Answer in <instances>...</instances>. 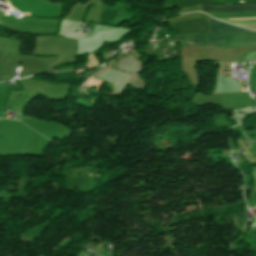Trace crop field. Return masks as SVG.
Here are the masks:
<instances>
[{
	"instance_id": "5",
	"label": "crop field",
	"mask_w": 256,
	"mask_h": 256,
	"mask_svg": "<svg viewBox=\"0 0 256 256\" xmlns=\"http://www.w3.org/2000/svg\"><path fill=\"white\" fill-rule=\"evenodd\" d=\"M81 36V34L77 37V39Z\"/></svg>"
},
{
	"instance_id": "2",
	"label": "crop field",
	"mask_w": 256,
	"mask_h": 256,
	"mask_svg": "<svg viewBox=\"0 0 256 256\" xmlns=\"http://www.w3.org/2000/svg\"><path fill=\"white\" fill-rule=\"evenodd\" d=\"M202 10L228 11V12L256 11V4L255 5L226 6V7H212V6H208V5H202Z\"/></svg>"
},
{
	"instance_id": "1",
	"label": "crop field",
	"mask_w": 256,
	"mask_h": 256,
	"mask_svg": "<svg viewBox=\"0 0 256 256\" xmlns=\"http://www.w3.org/2000/svg\"><path fill=\"white\" fill-rule=\"evenodd\" d=\"M176 38L183 46H251L256 45V32L223 34H187Z\"/></svg>"
},
{
	"instance_id": "3",
	"label": "crop field",
	"mask_w": 256,
	"mask_h": 256,
	"mask_svg": "<svg viewBox=\"0 0 256 256\" xmlns=\"http://www.w3.org/2000/svg\"><path fill=\"white\" fill-rule=\"evenodd\" d=\"M208 21L210 25L209 32H250L247 30L236 28L232 25L223 24L212 19H208Z\"/></svg>"
},
{
	"instance_id": "4",
	"label": "crop field",
	"mask_w": 256,
	"mask_h": 256,
	"mask_svg": "<svg viewBox=\"0 0 256 256\" xmlns=\"http://www.w3.org/2000/svg\"><path fill=\"white\" fill-rule=\"evenodd\" d=\"M247 19H252V18H247ZM220 20L233 23L236 25L256 24V18H254V20H244V21H233L232 19H220ZM234 20H243V19H234Z\"/></svg>"
},
{
	"instance_id": "6",
	"label": "crop field",
	"mask_w": 256,
	"mask_h": 256,
	"mask_svg": "<svg viewBox=\"0 0 256 256\" xmlns=\"http://www.w3.org/2000/svg\"><path fill=\"white\" fill-rule=\"evenodd\" d=\"M165 50V49H164ZM164 52V51H163Z\"/></svg>"
}]
</instances>
